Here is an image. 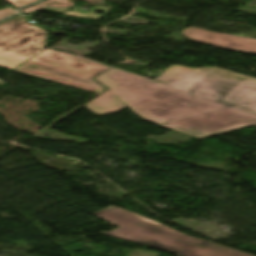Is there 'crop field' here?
<instances>
[{
	"mask_svg": "<svg viewBox=\"0 0 256 256\" xmlns=\"http://www.w3.org/2000/svg\"><path fill=\"white\" fill-rule=\"evenodd\" d=\"M30 61H31V60H29V61L23 63L22 65H24V64H26V63H28V62H30ZM22 65L18 66L17 68L21 67ZM45 66H47V65H45ZM48 67H50V66H48ZM17 68L13 69L12 71H15V72H18V73H22V74H26V75H30V76H34V77H38V78H42V79H46V80L53 81V82H57V83H61V84H65V83H62V82L54 81V80L47 79V78H44V77H40V76H36V75H33V74H29V73H26V72L18 71V70H16ZM51 68H53V67H51ZM54 69H56V68H54ZM57 70H59V69H57ZM60 71H62V70H60ZM63 72H65V71H63ZM66 73H68V72H66ZM69 74H71V73H69ZM71 75H74V74H71ZM74 76H77V77H80V78H83V79H86V80H90V79H87V78H84V77H81V76H78V75H74ZM90 81H92V80H90ZM92 82H94V81H92ZM85 83L88 84V85H90L91 88L96 89V91L89 90V89H85V88H81V87H77V86H73V85H69V84H65V85H69V86L81 88V89L88 90V91H92V92H96V93L100 92V90L97 89L95 86H93L91 83H89V82H85ZM94 83H95L96 85H98L99 87H101L103 90H105V91L108 90V89L104 88L103 86L97 84L96 82H94Z\"/></svg>",
	"mask_w": 256,
	"mask_h": 256,
	"instance_id": "crop-field-8",
	"label": "crop field"
},
{
	"mask_svg": "<svg viewBox=\"0 0 256 256\" xmlns=\"http://www.w3.org/2000/svg\"><path fill=\"white\" fill-rule=\"evenodd\" d=\"M47 31L18 15L0 23V67L11 70L46 45Z\"/></svg>",
	"mask_w": 256,
	"mask_h": 256,
	"instance_id": "crop-field-3",
	"label": "crop field"
},
{
	"mask_svg": "<svg viewBox=\"0 0 256 256\" xmlns=\"http://www.w3.org/2000/svg\"><path fill=\"white\" fill-rule=\"evenodd\" d=\"M150 223H156V224H159V223H157V222H155V221H152V222H150Z\"/></svg>",
	"mask_w": 256,
	"mask_h": 256,
	"instance_id": "crop-field-12",
	"label": "crop field"
},
{
	"mask_svg": "<svg viewBox=\"0 0 256 256\" xmlns=\"http://www.w3.org/2000/svg\"><path fill=\"white\" fill-rule=\"evenodd\" d=\"M75 0H46L34 7L26 8L21 11L24 13H30L33 12L41 7H64V6H74L72 3ZM84 2H87L89 4H94V3H100L103 2L102 0H82Z\"/></svg>",
	"mask_w": 256,
	"mask_h": 256,
	"instance_id": "crop-field-6",
	"label": "crop field"
},
{
	"mask_svg": "<svg viewBox=\"0 0 256 256\" xmlns=\"http://www.w3.org/2000/svg\"><path fill=\"white\" fill-rule=\"evenodd\" d=\"M92 214L120 227L102 234L173 252L177 256H253L166 226L149 224L147 222L152 220L114 206Z\"/></svg>",
	"mask_w": 256,
	"mask_h": 256,
	"instance_id": "crop-field-2",
	"label": "crop field"
},
{
	"mask_svg": "<svg viewBox=\"0 0 256 256\" xmlns=\"http://www.w3.org/2000/svg\"><path fill=\"white\" fill-rule=\"evenodd\" d=\"M182 33H184L193 41L228 48L240 52L256 54L255 39L229 34L214 33L193 27L184 29Z\"/></svg>",
	"mask_w": 256,
	"mask_h": 256,
	"instance_id": "crop-field-5",
	"label": "crop field"
},
{
	"mask_svg": "<svg viewBox=\"0 0 256 256\" xmlns=\"http://www.w3.org/2000/svg\"><path fill=\"white\" fill-rule=\"evenodd\" d=\"M14 13H15V10L11 7H8L6 9L0 11V20L5 18V17H8V16H10Z\"/></svg>",
	"mask_w": 256,
	"mask_h": 256,
	"instance_id": "crop-field-10",
	"label": "crop field"
},
{
	"mask_svg": "<svg viewBox=\"0 0 256 256\" xmlns=\"http://www.w3.org/2000/svg\"><path fill=\"white\" fill-rule=\"evenodd\" d=\"M7 1L14 4L17 7H20V6L31 4L37 0H7Z\"/></svg>",
	"mask_w": 256,
	"mask_h": 256,
	"instance_id": "crop-field-9",
	"label": "crop field"
},
{
	"mask_svg": "<svg viewBox=\"0 0 256 256\" xmlns=\"http://www.w3.org/2000/svg\"><path fill=\"white\" fill-rule=\"evenodd\" d=\"M93 80L110 89L83 105L98 115L129 107L147 121L199 139L256 126V78L173 65L154 80L115 67Z\"/></svg>",
	"mask_w": 256,
	"mask_h": 256,
	"instance_id": "crop-field-1",
	"label": "crop field"
},
{
	"mask_svg": "<svg viewBox=\"0 0 256 256\" xmlns=\"http://www.w3.org/2000/svg\"><path fill=\"white\" fill-rule=\"evenodd\" d=\"M31 60L92 79L110 68L96 62L47 49Z\"/></svg>",
	"mask_w": 256,
	"mask_h": 256,
	"instance_id": "crop-field-4",
	"label": "crop field"
},
{
	"mask_svg": "<svg viewBox=\"0 0 256 256\" xmlns=\"http://www.w3.org/2000/svg\"><path fill=\"white\" fill-rule=\"evenodd\" d=\"M25 69H27L29 71L37 72V73L46 74V75H49V76H52V77H55V78H59V79H62V80L68 81V82H72V83H76V84H80V85L90 87V86L84 84L83 83L84 81H82L80 79H77L75 77L68 76V75H65V74H61V73H58V72H55V71H51V70H48V69H45V68H42V67H39V66H36V65H30V66L26 67Z\"/></svg>",
	"mask_w": 256,
	"mask_h": 256,
	"instance_id": "crop-field-7",
	"label": "crop field"
},
{
	"mask_svg": "<svg viewBox=\"0 0 256 256\" xmlns=\"http://www.w3.org/2000/svg\"><path fill=\"white\" fill-rule=\"evenodd\" d=\"M85 81H86V80H85ZM89 82H90V81H89ZM91 83H92V82H91ZM92 84H93V83H92ZM94 85H95V84H94ZM95 86H96V85H95ZM97 87H98V86H97ZM98 88H99V87H98ZM101 90H102V89H101ZM103 92H105V91H103V90H102V92H101V93H103ZM101 93H99V94H101Z\"/></svg>",
	"mask_w": 256,
	"mask_h": 256,
	"instance_id": "crop-field-11",
	"label": "crop field"
}]
</instances>
